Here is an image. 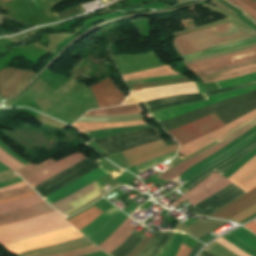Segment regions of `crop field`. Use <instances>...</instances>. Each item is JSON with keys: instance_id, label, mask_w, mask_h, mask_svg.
I'll return each instance as SVG.
<instances>
[{"instance_id": "crop-field-1", "label": "crop field", "mask_w": 256, "mask_h": 256, "mask_svg": "<svg viewBox=\"0 0 256 256\" xmlns=\"http://www.w3.org/2000/svg\"><path fill=\"white\" fill-rule=\"evenodd\" d=\"M255 148L256 126L179 175L186 183L178 188L187 192L214 171L222 175L234 162Z\"/></svg>"}, {"instance_id": "crop-field-2", "label": "crop field", "mask_w": 256, "mask_h": 256, "mask_svg": "<svg viewBox=\"0 0 256 256\" xmlns=\"http://www.w3.org/2000/svg\"><path fill=\"white\" fill-rule=\"evenodd\" d=\"M254 36H256V31L243 32L229 22L177 36L174 38L173 43L175 49L182 56Z\"/></svg>"}, {"instance_id": "crop-field-3", "label": "crop field", "mask_w": 256, "mask_h": 256, "mask_svg": "<svg viewBox=\"0 0 256 256\" xmlns=\"http://www.w3.org/2000/svg\"><path fill=\"white\" fill-rule=\"evenodd\" d=\"M255 80H256V72L251 73V74L246 75V76H243V77L230 79V80H226V81H221V82H216L215 85L218 87V89H222V88L232 87V86H236V85H240V84H244V83L253 82ZM255 89H256V84H253V85L245 87V88H241V89H237V90H233V91H228V92H223V93H219L217 95L206 97L207 100H204V101L185 104V105H181V106L161 110V111H158V112L151 113V115L155 119H157L158 121H161V120L173 118V117H176L178 115L190 112L192 110H195V109L200 108L202 106L208 105L210 103L220 101V100H224V99H227V98L239 95V94H243V93H246V92H250V91H253Z\"/></svg>"}, {"instance_id": "crop-field-4", "label": "crop field", "mask_w": 256, "mask_h": 256, "mask_svg": "<svg viewBox=\"0 0 256 256\" xmlns=\"http://www.w3.org/2000/svg\"><path fill=\"white\" fill-rule=\"evenodd\" d=\"M79 237H83V235H81L77 230L71 227L51 232L39 237L15 242L4 247L11 253L19 254L29 250L55 245Z\"/></svg>"}, {"instance_id": "crop-field-5", "label": "crop field", "mask_w": 256, "mask_h": 256, "mask_svg": "<svg viewBox=\"0 0 256 256\" xmlns=\"http://www.w3.org/2000/svg\"><path fill=\"white\" fill-rule=\"evenodd\" d=\"M224 125L225 124L212 113L193 123L168 131V133H170L182 146Z\"/></svg>"}, {"instance_id": "crop-field-6", "label": "crop field", "mask_w": 256, "mask_h": 256, "mask_svg": "<svg viewBox=\"0 0 256 256\" xmlns=\"http://www.w3.org/2000/svg\"><path fill=\"white\" fill-rule=\"evenodd\" d=\"M256 117V109L252 110L251 112L247 113L246 115L234 120L233 122L225 125L224 127L213 131L193 142H190L180 148V153L185 157L203 147L213 141H220L247 122L251 121Z\"/></svg>"}, {"instance_id": "crop-field-7", "label": "crop field", "mask_w": 256, "mask_h": 256, "mask_svg": "<svg viewBox=\"0 0 256 256\" xmlns=\"http://www.w3.org/2000/svg\"><path fill=\"white\" fill-rule=\"evenodd\" d=\"M63 218L65 217L62 216L36 225L2 233L0 234V244L12 243L70 226Z\"/></svg>"}, {"instance_id": "crop-field-8", "label": "crop field", "mask_w": 256, "mask_h": 256, "mask_svg": "<svg viewBox=\"0 0 256 256\" xmlns=\"http://www.w3.org/2000/svg\"><path fill=\"white\" fill-rule=\"evenodd\" d=\"M173 232H155L138 256H158L169 242ZM184 233L175 232L160 256H175Z\"/></svg>"}, {"instance_id": "crop-field-9", "label": "crop field", "mask_w": 256, "mask_h": 256, "mask_svg": "<svg viewBox=\"0 0 256 256\" xmlns=\"http://www.w3.org/2000/svg\"><path fill=\"white\" fill-rule=\"evenodd\" d=\"M255 125H256V118L254 120H252L251 122L247 123L246 125H244L243 127H241L239 130H237L232 135L228 136L227 138L223 139L221 142L212 146L208 150L184 161L183 163L175 166L174 168L170 169L169 171L157 176V178H159L161 180H166V181L172 180L173 178H175L176 176H178L179 174H181L182 172H184L185 170H187L188 168L193 166L195 163H197L201 159H203V158L209 156L210 154H212L213 152L217 151L218 149H220L224 145L228 144L229 142H231L232 140H234L235 138H237L238 136H240L241 134H243L244 132H246L248 129H250L251 127H253Z\"/></svg>"}, {"instance_id": "crop-field-10", "label": "crop field", "mask_w": 256, "mask_h": 256, "mask_svg": "<svg viewBox=\"0 0 256 256\" xmlns=\"http://www.w3.org/2000/svg\"><path fill=\"white\" fill-rule=\"evenodd\" d=\"M178 146L179 145L166 146L165 143L160 140L123 151L122 153L130 167H132L154 157L178 150Z\"/></svg>"}, {"instance_id": "crop-field-11", "label": "crop field", "mask_w": 256, "mask_h": 256, "mask_svg": "<svg viewBox=\"0 0 256 256\" xmlns=\"http://www.w3.org/2000/svg\"><path fill=\"white\" fill-rule=\"evenodd\" d=\"M36 73L14 68L0 70V97L10 98Z\"/></svg>"}, {"instance_id": "crop-field-12", "label": "crop field", "mask_w": 256, "mask_h": 256, "mask_svg": "<svg viewBox=\"0 0 256 256\" xmlns=\"http://www.w3.org/2000/svg\"><path fill=\"white\" fill-rule=\"evenodd\" d=\"M230 183L224 177L214 172L182 197L190 200L191 204L194 205Z\"/></svg>"}, {"instance_id": "crop-field-13", "label": "crop field", "mask_w": 256, "mask_h": 256, "mask_svg": "<svg viewBox=\"0 0 256 256\" xmlns=\"http://www.w3.org/2000/svg\"><path fill=\"white\" fill-rule=\"evenodd\" d=\"M252 58H256V47L249 50H245V51L205 60L202 62L194 63L191 65H187V67L192 72L198 74L206 70H209L211 68L222 67V66L238 63L241 61H245L248 59H252Z\"/></svg>"}, {"instance_id": "crop-field-14", "label": "crop field", "mask_w": 256, "mask_h": 256, "mask_svg": "<svg viewBox=\"0 0 256 256\" xmlns=\"http://www.w3.org/2000/svg\"><path fill=\"white\" fill-rule=\"evenodd\" d=\"M91 185H92V183L90 185H88L87 187L51 204V206L56 208L61 213L71 209V207H72L73 208L72 210L64 213V215H66V214L74 211L75 209L79 208L86 202L90 201L91 199H93V198L97 197L98 195L105 192L95 181L92 186L94 191L92 190ZM91 191H93V192H91ZM89 192H91V193H89ZM87 193H89V194H87ZM85 194H87V195H85ZM83 195H85V196H83ZM81 196H83V197H81ZM78 198H80V199H78ZM76 199H78V200H76ZM74 200H76V201H74ZM72 201H74V202H72ZM70 202H72V203H70ZM68 203H70V204H68ZM67 204L71 207H69Z\"/></svg>"}, {"instance_id": "crop-field-15", "label": "crop field", "mask_w": 256, "mask_h": 256, "mask_svg": "<svg viewBox=\"0 0 256 256\" xmlns=\"http://www.w3.org/2000/svg\"><path fill=\"white\" fill-rule=\"evenodd\" d=\"M97 100L98 107H108L119 105L125 98L113 84V82L107 78L99 83L89 86Z\"/></svg>"}, {"instance_id": "crop-field-16", "label": "crop field", "mask_w": 256, "mask_h": 256, "mask_svg": "<svg viewBox=\"0 0 256 256\" xmlns=\"http://www.w3.org/2000/svg\"><path fill=\"white\" fill-rule=\"evenodd\" d=\"M83 154L77 152L74 153L60 161H57L56 163L50 165L49 167L33 174L32 176L25 179L29 184L34 183L35 186L42 183L43 181L49 179L50 177L56 175L57 173L69 168L70 166L74 165L75 163L81 161L83 158H85ZM34 184L31 185L34 187Z\"/></svg>"}, {"instance_id": "crop-field-17", "label": "crop field", "mask_w": 256, "mask_h": 256, "mask_svg": "<svg viewBox=\"0 0 256 256\" xmlns=\"http://www.w3.org/2000/svg\"><path fill=\"white\" fill-rule=\"evenodd\" d=\"M256 203V187L241 197L235 199L229 204L223 206L207 217H217L228 219L229 217L235 215L238 212H241L248 208L249 206Z\"/></svg>"}, {"instance_id": "crop-field-18", "label": "crop field", "mask_w": 256, "mask_h": 256, "mask_svg": "<svg viewBox=\"0 0 256 256\" xmlns=\"http://www.w3.org/2000/svg\"><path fill=\"white\" fill-rule=\"evenodd\" d=\"M100 167V166H99ZM109 173L107 170L103 169L102 167L92 171L91 173L83 176L82 178L72 182L71 184L63 187L62 189L56 191L55 193L51 194L50 196L44 198L49 204L72 193L75 192L82 187L90 184L95 179Z\"/></svg>"}, {"instance_id": "crop-field-19", "label": "crop field", "mask_w": 256, "mask_h": 256, "mask_svg": "<svg viewBox=\"0 0 256 256\" xmlns=\"http://www.w3.org/2000/svg\"><path fill=\"white\" fill-rule=\"evenodd\" d=\"M228 180L246 192L254 188L256 186V156L244 164Z\"/></svg>"}, {"instance_id": "crop-field-20", "label": "crop field", "mask_w": 256, "mask_h": 256, "mask_svg": "<svg viewBox=\"0 0 256 256\" xmlns=\"http://www.w3.org/2000/svg\"><path fill=\"white\" fill-rule=\"evenodd\" d=\"M52 211H55V210L52 207H50L47 203H44V204L36 205L33 207L16 210V211H12L9 213L0 214V218H3V217H7V216H13V215L25 213V214L18 215V216L0 219V225L29 219V218L36 217V216H39V215H42L45 213H49Z\"/></svg>"}, {"instance_id": "crop-field-21", "label": "crop field", "mask_w": 256, "mask_h": 256, "mask_svg": "<svg viewBox=\"0 0 256 256\" xmlns=\"http://www.w3.org/2000/svg\"><path fill=\"white\" fill-rule=\"evenodd\" d=\"M131 218H127L113 233V235L100 244L98 247L103 249L108 254L112 252L115 248H117L136 228L130 223ZM130 220V221H129ZM129 221V223H127Z\"/></svg>"}, {"instance_id": "crop-field-22", "label": "crop field", "mask_w": 256, "mask_h": 256, "mask_svg": "<svg viewBox=\"0 0 256 256\" xmlns=\"http://www.w3.org/2000/svg\"><path fill=\"white\" fill-rule=\"evenodd\" d=\"M119 211L120 210H118L116 207H111L80 231L88 238L91 237L93 234L102 229L106 224H108Z\"/></svg>"}, {"instance_id": "crop-field-23", "label": "crop field", "mask_w": 256, "mask_h": 256, "mask_svg": "<svg viewBox=\"0 0 256 256\" xmlns=\"http://www.w3.org/2000/svg\"><path fill=\"white\" fill-rule=\"evenodd\" d=\"M146 124L143 120L138 121H128V122H118V123H76L72 126L79 129L80 133L97 130L102 128H114L120 126H130V125H141Z\"/></svg>"}, {"instance_id": "crop-field-24", "label": "crop field", "mask_w": 256, "mask_h": 256, "mask_svg": "<svg viewBox=\"0 0 256 256\" xmlns=\"http://www.w3.org/2000/svg\"><path fill=\"white\" fill-rule=\"evenodd\" d=\"M163 75H177L175 72H172L171 68L166 65L146 71L134 72L130 74L123 75L124 81L138 78H148V77H156Z\"/></svg>"}, {"instance_id": "crop-field-25", "label": "crop field", "mask_w": 256, "mask_h": 256, "mask_svg": "<svg viewBox=\"0 0 256 256\" xmlns=\"http://www.w3.org/2000/svg\"><path fill=\"white\" fill-rule=\"evenodd\" d=\"M151 128L148 125H142V126H132V127H121V128H114V129H103L99 131H93V132H86L85 134L91 139H97L101 137L106 136H112L119 133H125V132H131L141 129Z\"/></svg>"}, {"instance_id": "crop-field-26", "label": "crop field", "mask_w": 256, "mask_h": 256, "mask_svg": "<svg viewBox=\"0 0 256 256\" xmlns=\"http://www.w3.org/2000/svg\"><path fill=\"white\" fill-rule=\"evenodd\" d=\"M103 212L100 211L98 208L95 206L88 209L87 211L83 212L82 214L73 217L69 220L74 227H76L78 230L86 226L88 223H90L92 220H94L96 217H98L100 214Z\"/></svg>"}, {"instance_id": "crop-field-27", "label": "crop field", "mask_w": 256, "mask_h": 256, "mask_svg": "<svg viewBox=\"0 0 256 256\" xmlns=\"http://www.w3.org/2000/svg\"><path fill=\"white\" fill-rule=\"evenodd\" d=\"M134 113H141L137 105L88 111L83 116H88V115H121V114H134Z\"/></svg>"}, {"instance_id": "crop-field-28", "label": "crop field", "mask_w": 256, "mask_h": 256, "mask_svg": "<svg viewBox=\"0 0 256 256\" xmlns=\"http://www.w3.org/2000/svg\"><path fill=\"white\" fill-rule=\"evenodd\" d=\"M58 216H62L59 212L55 211L49 214H45L36 218H32L29 220H25L22 222H18V223H13V224H8V225H4V226H0V233L2 232H6L9 230H13V229H17V228H21V227H25L28 225H32V224H36L54 217H58Z\"/></svg>"}, {"instance_id": "crop-field-29", "label": "crop field", "mask_w": 256, "mask_h": 256, "mask_svg": "<svg viewBox=\"0 0 256 256\" xmlns=\"http://www.w3.org/2000/svg\"><path fill=\"white\" fill-rule=\"evenodd\" d=\"M40 202H44V201L38 195L30 197V198L22 199V200L10 202L7 204L0 205V213L23 208V207H26L29 205L40 203Z\"/></svg>"}, {"instance_id": "crop-field-30", "label": "crop field", "mask_w": 256, "mask_h": 256, "mask_svg": "<svg viewBox=\"0 0 256 256\" xmlns=\"http://www.w3.org/2000/svg\"><path fill=\"white\" fill-rule=\"evenodd\" d=\"M53 162H55V161L49 159V160H47V161H45V162H43V163H41V164H39V165H34V164L29 163V164H27L25 167H23L22 169H20V170L17 172V174H19L21 177H23V178L25 179V178H27L28 176H30V175H32L33 173H35L36 171H38V170H40V169H42V168H44V167H46V166L52 164ZM23 178H22V179H23Z\"/></svg>"}, {"instance_id": "crop-field-31", "label": "crop field", "mask_w": 256, "mask_h": 256, "mask_svg": "<svg viewBox=\"0 0 256 256\" xmlns=\"http://www.w3.org/2000/svg\"><path fill=\"white\" fill-rule=\"evenodd\" d=\"M222 237L225 240H227L228 242H230L231 244H233L234 246H236L237 248H239L242 251H244L245 253H247L248 255L256 256V251L254 249H252L251 247H249L245 243L239 241L238 239H236L235 237H233L229 233L223 235Z\"/></svg>"}, {"instance_id": "crop-field-32", "label": "crop field", "mask_w": 256, "mask_h": 256, "mask_svg": "<svg viewBox=\"0 0 256 256\" xmlns=\"http://www.w3.org/2000/svg\"><path fill=\"white\" fill-rule=\"evenodd\" d=\"M0 161L7 165L11 170L16 171L20 167L24 166L12 156L0 149Z\"/></svg>"}, {"instance_id": "crop-field-33", "label": "crop field", "mask_w": 256, "mask_h": 256, "mask_svg": "<svg viewBox=\"0 0 256 256\" xmlns=\"http://www.w3.org/2000/svg\"><path fill=\"white\" fill-rule=\"evenodd\" d=\"M176 152H173V153H170V154H167V155H164V156H160V157H157V158H154L150 161H147L143 164H140L137 166L138 168V172L141 173L143 171H145L146 169L152 167V166H155L171 157H173L175 155Z\"/></svg>"}, {"instance_id": "crop-field-34", "label": "crop field", "mask_w": 256, "mask_h": 256, "mask_svg": "<svg viewBox=\"0 0 256 256\" xmlns=\"http://www.w3.org/2000/svg\"><path fill=\"white\" fill-rule=\"evenodd\" d=\"M95 251H99V249L94 245H91V246H87V247H83V248H79V249H75V250H71V251H67V252H63V253H59L51 256H79V255H83V254H87Z\"/></svg>"}, {"instance_id": "crop-field-35", "label": "crop field", "mask_w": 256, "mask_h": 256, "mask_svg": "<svg viewBox=\"0 0 256 256\" xmlns=\"http://www.w3.org/2000/svg\"><path fill=\"white\" fill-rule=\"evenodd\" d=\"M80 13H82V11L77 7V5H75L73 7H70L68 9H65L63 11H60V12L54 13V14L56 15V17L59 20H62V19H66V18L72 17V16L80 14Z\"/></svg>"}, {"instance_id": "crop-field-36", "label": "crop field", "mask_w": 256, "mask_h": 256, "mask_svg": "<svg viewBox=\"0 0 256 256\" xmlns=\"http://www.w3.org/2000/svg\"><path fill=\"white\" fill-rule=\"evenodd\" d=\"M254 67H256V63L255 64H251V65H247V66H244V67H240V68H236V69H232V70L216 73V74H213V75H210V76L202 77L200 79L202 81H205V80L216 78V77H219V76H222V75L236 73V72L244 71V70L251 69V68H254Z\"/></svg>"}, {"instance_id": "crop-field-37", "label": "crop field", "mask_w": 256, "mask_h": 256, "mask_svg": "<svg viewBox=\"0 0 256 256\" xmlns=\"http://www.w3.org/2000/svg\"><path fill=\"white\" fill-rule=\"evenodd\" d=\"M191 81L188 78L180 79V80H173V81H165V82H157V83H149V84H142V85H134L129 86L130 89L135 88H149V87H155V86H161V85H167V84H173V83H179V82H188Z\"/></svg>"}, {"instance_id": "crop-field-38", "label": "crop field", "mask_w": 256, "mask_h": 256, "mask_svg": "<svg viewBox=\"0 0 256 256\" xmlns=\"http://www.w3.org/2000/svg\"><path fill=\"white\" fill-rule=\"evenodd\" d=\"M29 191H32V189L30 188L29 185H27V186L19 188V189H15V190H12V191L0 193V199L12 197V196L23 194V193H27Z\"/></svg>"}, {"instance_id": "crop-field-39", "label": "crop field", "mask_w": 256, "mask_h": 256, "mask_svg": "<svg viewBox=\"0 0 256 256\" xmlns=\"http://www.w3.org/2000/svg\"><path fill=\"white\" fill-rule=\"evenodd\" d=\"M255 62H256V59H252V60H248V61L241 62V63H238V64H234V65H230V66H226V67L214 69V70H211V71H207V72L198 74V76L201 77V76H204V75H207V74H211V73H215V72H219V71H223V70L235 68V67H238V66H242V65H247V64L255 63Z\"/></svg>"}, {"instance_id": "crop-field-40", "label": "crop field", "mask_w": 256, "mask_h": 256, "mask_svg": "<svg viewBox=\"0 0 256 256\" xmlns=\"http://www.w3.org/2000/svg\"><path fill=\"white\" fill-rule=\"evenodd\" d=\"M256 212V204L249 207L247 210L233 216L232 218H230L231 220H235L237 222L247 218L248 216L254 214Z\"/></svg>"}, {"instance_id": "crop-field-41", "label": "crop field", "mask_w": 256, "mask_h": 256, "mask_svg": "<svg viewBox=\"0 0 256 256\" xmlns=\"http://www.w3.org/2000/svg\"><path fill=\"white\" fill-rule=\"evenodd\" d=\"M215 241H217L219 244L223 245L224 247L228 248L229 250H231L232 252L236 253L239 256H248L247 254H245L244 252L240 251L239 249H237L236 247H234L233 245H231L230 243H228L227 241H225L221 237L218 238Z\"/></svg>"}, {"instance_id": "crop-field-42", "label": "crop field", "mask_w": 256, "mask_h": 256, "mask_svg": "<svg viewBox=\"0 0 256 256\" xmlns=\"http://www.w3.org/2000/svg\"><path fill=\"white\" fill-rule=\"evenodd\" d=\"M254 71H256V69H252V70H248V71H244V72H240V73H236V74L226 75V76L219 77V78H216V79H213V80L205 81V82H203V84L213 82V81H221V80H226V79L246 75V74L254 72Z\"/></svg>"}, {"instance_id": "crop-field-43", "label": "crop field", "mask_w": 256, "mask_h": 256, "mask_svg": "<svg viewBox=\"0 0 256 256\" xmlns=\"http://www.w3.org/2000/svg\"><path fill=\"white\" fill-rule=\"evenodd\" d=\"M230 1H232L236 5L240 6L242 9H244L248 14H250L256 20V11H254L252 8L247 6L241 0H230Z\"/></svg>"}, {"instance_id": "crop-field-44", "label": "crop field", "mask_w": 256, "mask_h": 256, "mask_svg": "<svg viewBox=\"0 0 256 256\" xmlns=\"http://www.w3.org/2000/svg\"><path fill=\"white\" fill-rule=\"evenodd\" d=\"M150 237L145 236V238L143 239V241L140 243V245L133 251L131 252L129 255L127 256H136L137 254L140 253V251L145 247V245L147 244V242L149 241Z\"/></svg>"}, {"instance_id": "crop-field-45", "label": "crop field", "mask_w": 256, "mask_h": 256, "mask_svg": "<svg viewBox=\"0 0 256 256\" xmlns=\"http://www.w3.org/2000/svg\"><path fill=\"white\" fill-rule=\"evenodd\" d=\"M191 249L192 248L188 247L184 243H181V246L176 256H188Z\"/></svg>"}, {"instance_id": "crop-field-46", "label": "crop field", "mask_w": 256, "mask_h": 256, "mask_svg": "<svg viewBox=\"0 0 256 256\" xmlns=\"http://www.w3.org/2000/svg\"><path fill=\"white\" fill-rule=\"evenodd\" d=\"M34 194H36V193L34 191H32V192L24 194V195H20V196L8 198V199H3V200H0V204L10 202V201H14V200H18V199H22V198H26V197H28L30 195H34Z\"/></svg>"}, {"instance_id": "crop-field-47", "label": "crop field", "mask_w": 256, "mask_h": 256, "mask_svg": "<svg viewBox=\"0 0 256 256\" xmlns=\"http://www.w3.org/2000/svg\"><path fill=\"white\" fill-rule=\"evenodd\" d=\"M58 24V23H57ZM57 24H53V25H49V26H44V27H40V28H37V29H45V28H49V27H52V26H55ZM37 29H32L30 31H27L25 33H22V34H19L17 36H14L16 39L20 40L28 35H30L31 33H33L34 31H36Z\"/></svg>"}, {"instance_id": "crop-field-48", "label": "crop field", "mask_w": 256, "mask_h": 256, "mask_svg": "<svg viewBox=\"0 0 256 256\" xmlns=\"http://www.w3.org/2000/svg\"><path fill=\"white\" fill-rule=\"evenodd\" d=\"M24 185H27V184L24 181H22L20 183H17V184L8 186V187L0 188V192L12 190V189H15V188H19V187H22Z\"/></svg>"}, {"instance_id": "crop-field-49", "label": "crop field", "mask_w": 256, "mask_h": 256, "mask_svg": "<svg viewBox=\"0 0 256 256\" xmlns=\"http://www.w3.org/2000/svg\"><path fill=\"white\" fill-rule=\"evenodd\" d=\"M253 42H255V41H253ZM253 42H249V43H246V44H242V45L234 46V47H231V48H226V49L217 50V51H214V52H211V53H207V54L199 55V56H196V57H192V58L184 59L183 61H185V60H189V59H193V58H197V57L204 56V55H208V54H212V53H216V52H221V51H225V50L234 49V48L241 47V46H244V45H247V44L253 43Z\"/></svg>"}, {"instance_id": "crop-field-50", "label": "crop field", "mask_w": 256, "mask_h": 256, "mask_svg": "<svg viewBox=\"0 0 256 256\" xmlns=\"http://www.w3.org/2000/svg\"><path fill=\"white\" fill-rule=\"evenodd\" d=\"M202 246H203V245H201V244L198 243V244L192 249V251H191V253L189 254V256H195Z\"/></svg>"}, {"instance_id": "crop-field-51", "label": "crop field", "mask_w": 256, "mask_h": 256, "mask_svg": "<svg viewBox=\"0 0 256 256\" xmlns=\"http://www.w3.org/2000/svg\"><path fill=\"white\" fill-rule=\"evenodd\" d=\"M244 227L248 228L249 230H251L252 232H254L256 234V224L250 222V223L244 225Z\"/></svg>"}, {"instance_id": "crop-field-52", "label": "crop field", "mask_w": 256, "mask_h": 256, "mask_svg": "<svg viewBox=\"0 0 256 256\" xmlns=\"http://www.w3.org/2000/svg\"><path fill=\"white\" fill-rule=\"evenodd\" d=\"M244 1L246 4H248L250 7H252L254 10H256V2L252 1V0H242Z\"/></svg>"}, {"instance_id": "crop-field-53", "label": "crop field", "mask_w": 256, "mask_h": 256, "mask_svg": "<svg viewBox=\"0 0 256 256\" xmlns=\"http://www.w3.org/2000/svg\"><path fill=\"white\" fill-rule=\"evenodd\" d=\"M33 2H37V1H40V0H32Z\"/></svg>"}, {"instance_id": "crop-field-54", "label": "crop field", "mask_w": 256, "mask_h": 256, "mask_svg": "<svg viewBox=\"0 0 256 256\" xmlns=\"http://www.w3.org/2000/svg\"><path fill=\"white\" fill-rule=\"evenodd\" d=\"M3 2H5V1H9V0H2Z\"/></svg>"}, {"instance_id": "crop-field-55", "label": "crop field", "mask_w": 256, "mask_h": 256, "mask_svg": "<svg viewBox=\"0 0 256 256\" xmlns=\"http://www.w3.org/2000/svg\"><path fill=\"white\" fill-rule=\"evenodd\" d=\"M253 222H255V223H256V219H255Z\"/></svg>"}, {"instance_id": "crop-field-56", "label": "crop field", "mask_w": 256, "mask_h": 256, "mask_svg": "<svg viewBox=\"0 0 256 256\" xmlns=\"http://www.w3.org/2000/svg\"><path fill=\"white\" fill-rule=\"evenodd\" d=\"M200 256V255H199Z\"/></svg>"}]
</instances>
